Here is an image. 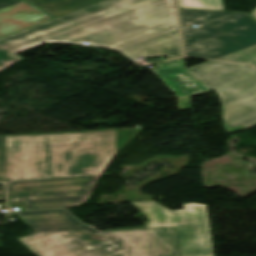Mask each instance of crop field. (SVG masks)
<instances>
[{
  "label": "crop field",
  "instance_id": "obj_2",
  "mask_svg": "<svg viewBox=\"0 0 256 256\" xmlns=\"http://www.w3.org/2000/svg\"><path fill=\"white\" fill-rule=\"evenodd\" d=\"M172 0H106L0 40V48L19 53L46 42L122 50L177 30Z\"/></svg>",
  "mask_w": 256,
  "mask_h": 256
},
{
  "label": "crop field",
  "instance_id": "obj_1",
  "mask_svg": "<svg viewBox=\"0 0 256 256\" xmlns=\"http://www.w3.org/2000/svg\"><path fill=\"white\" fill-rule=\"evenodd\" d=\"M132 203L148 228L99 231L66 210L21 212L35 232L17 241L37 256H214L207 205L170 211L154 201Z\"/></svg>",
  "mask_w": 256,
  "mask_h": 256
},
{
  "label": "crop field",
  "instance_id": "obj_11",
  "mask_svg": "<svg viewBox=\"0 0 256 256\" xmlns=\"http://www.w3.org/2000/svg\"><path fill=\"white\" fill-rule=\"evenodd\" d=\"M218 60L249 63L256 67V45L218 58Z\"/></svg>",
  "mask_w": 256,
  "mask_h": 256
},
{
  "label": "crop field",
  "instance_id": "obj_13",
  "mask_svg": "<svg viewBox=\"0 0 256 256\" xmlns=\"http://www.w3.org/2000/svg\"><path fill=\"white\" fill-rule=\"evenodd\" d=\"M23 58L18 57L14 54L8 53L0 49V70L22 60Z\"/></svg>",
  "mask_w": 256,
  "mask_h": 256
},
{
  "label": "crop field",
  "instance_id": "obj_5",
  "mask_svg": "<svg viewBox=\"0 0 256 256\" xmlns=\"http://www.w3.org/2000/svg\"><path fill=\"white\" fill-rule=\"evenodd\" d=\"M191 75L218 93L226 133L256 125V69L209 61L188 68Z\"/></svg>",
  "mask_w": 256,
  "mask_h": 256
},
{
  "label": "crop field",
  "instance_id": "obj_6",
  "mask_svg": "<svg viewBox=\"0 0 256 256\" xmlns=\"http://www.w3.org/2000/svg\"><path fill=\"white\" fill-rule=\"evenodd\" d=\"M98 176L5 183L9 201H27V210L80 206L88 200ZM41 192V195L37 193Z\"/></svg>",
  "mask_w": 256,
  "mask_h": 256
},
{
  "label": "crop field",
  "instance_id": "obj_14",
  "mask_svg": "<svg viewBox=\"0 0 256 256\" xmlns=\"http://www.w3.org/2000/svg\"><path fill=\"white\" fill-rule=\"evenodd\" d=\"M0 201H5L4 190H3V184L2 183H0Z\"/></svg>",
  "mask_w": 256,
  "mask_h": 256
},
{
  "label": "crop field",
  "instance_id": "obj_12",
  "mask_svg": "<svg viewBox=\"0 0 256 256\" xmlns=\"http://www.w3.org/2000/svg\"><path fill=\"white\" fill-rule=\"evenodd\" d=\"M178 7L224 10L222 0H177Z\"/></svg>",
  "mask_w": 256,
  "mask_h": 256
},
{
  "label": "crop field",
  "instance_id": "obj_3",
  "mask_svg": "<svg viewBox=\"0 0 256 256\" xmlns=\"http://www.w3.org/2000/svg\"><path fill=\"white\" fill-rule=\"evenodd\" d=\"M140 132L0 137V181L102 174L112 158Z\"/></svg>",
  "mask_w": 256,
  "mask_h": 256
},
{
  "label": "crop field",
  "instance_id": "obj_8",
  "mask_svg": "<svg viewBox=\"0 0 256 256\" xmlns=\"http://www.w3.org/2000/svg\"><path fill=\"white\" fill-rule=\"evenodd\" d=\"M54 19L23 0H0V38Z\"/></svg>",
  "mask_w": 256,
  "mask_h": 256
},
{
  "label": "crop field",
  "instance_id": "obj_7",
  "mask_svg": "<svg viewBox=\"0 0 256 256\" xmlns=\"http://www.w3.org/2000/svg\"><path fill=\"white\" fill-rule=\"evenodd\" d=\"M157 65L158 68L152 70L178 97L179 110L191 109L190 96L212 90L189 74L184 58L158 62Z\"/></svg>",
  "mask_w": 256,
  "mask_h": 256
},
{
  "label": "crop field",
  "instance_id": "obj_15",
  "mask_svg": "<svg viewBox=\"0 0 256 256\" xmlns=\"http://www.w3.org/2000/svg\"><path fill=\"white\" fill-rule=\"evenodd\" d=\"M250 15H252L255 19H256V9H254L252 12L249 13Z\"/></svg>",
  "mask_w": 256,
  "mask_h": 256
},
{
  "label": "crop field",
  "instance_id": "obj_9",
  "mask_svg": "<svg viewBox=\"0 0 256 256\" xmlns=\"http://www.w3.org/2000/svg\"><path fill=\"white\" fill-rule=\"evenodd\" d=\"M130 58L167 56L181 57L179 32L174 31L120 51Z\"/></svg>",
  "mask_w": 256,
  "mask_h": 256
},
{
  "label": "crop field",
  "instance_id": "obj_4",
  "mask_svg": "<svg viewBox=\"0 0 256 256\" xmlns=\"http://www.w3.org/2000/svg\"><path fill=\"white\" fill-rule=\"evenodd\" d=\"M186 56L215 59L256 44V22L245 13L179 9Z\"/></svg>",
  "mask_w": 256,
  "mask_h": 256
},
{
  "label": "crop field",
  "instance_id": "obj_10",
  "mask_svg": "<svg viewBox=\"0 0 256 256\" xmlns=\"http://www.w3.org/2000/svg\"><path fill=\"white\" fill-rule=\"evenodd\" d=\"M57 18L103 0H26Z\"/></svg>",
  "mask_w": 256,
  "mask_h": 256
}]
</instances>
